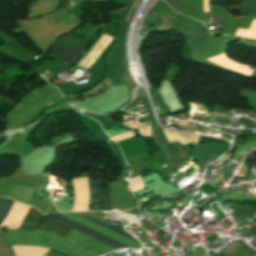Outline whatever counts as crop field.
I'll return each mask as SVG.
<instances>
[{
    "instance_id": "crop-field-2",
    "label": "crop field",
    "mask_w": 256,
    "mask_h": 256,
    "mask_svg": "<svg viewBox=\"0 0 256 256\" xmlns=\"http://www.w3.org/2000/svg\"><path fill=\"white\" fill-rule=\"evenodd\" d=\"M15 201L7 199V198H0V226L5 222L6 218L8 217V215L10 214L13 206H14ZM70 228H73L77 231H80L82 233H85L89 236H92L116 249L121 248V247H129L125 244H122L114 239H111L103 234H100L92 229H89L81 224H78L70 219H67L59 214L56 215H46ZM44 215H41L36 209H32L31 214L29 216V219L26 223L25 228H41V229H45V230H49V231H53L61 236H65L67 234V232L70 230V228L46 217ZM95 223H98L110 230H113L125 237H128L134 241H136L135 239H133L130 235L124 233L121 231V227L118 226H111V225H107L106 223L97 220L93 217H85ZM24 228V229H25ZM137 242V241H136Z\"/></svg>"
},
{
    "instance_id": "crop-field-4",
    "label": "crop field",
    "mask_w": 256,
    "mask_h": 256,
    "mask_svg": "<svg viewBox=\"0 0 256 256\" xmlns=\"http://www.w3.org/2000/svg\"><path fill=\"white\" fill-rule=\"evenodd\" d=\"M83 52L84 49L80 47H53L47 57L62 60L73 65L80 59Z\"/></svg>"
},
{
    "instance_id": "crop-field-6",
    "label": "crop field",
    "mask_w": 256,
    "mask_h": 256,
    "mask_svg": "<svg viewBox=\"0 0 256 256\" xmlns=\"http://www.w3.org/2000/svg\"><path fill=\"white\" fill-rule=\"evenodd\" d=\"M184 36L190 38H198L207 35L209 32L202 29L201 27L180 31Z\"/></svg>"
},
{
    "instance_id": "crop-field-9",
    "label": "crop field",
    "mask_w": 256,
    "mask_h": 256,
    "mask_svg": "<svg viewBox=\"0 0 256 256\" xmlns=\"http://www.w3.org/2000/svg\"><path fill=\"white\" fill-rule=\"evenodd\" d=\"M6 141H8L6 135H3V136L0 137V145H1L2 143L6 142Z\"/></svg>"
},
{
    "instance_id": "crop-field-1",
    "label": "crop field",
    "mask_w": 256,
    "mask_h": 256,
    "mask_svg": "<svg viewBox=\"0 0 256 256\" xmlns=\"http://www.w3.org/2000/svg\"><path fill=\"white\" fill-rule=\"evenodd\" d=\"M2 235L11 246L16 244L46 246L69 256H100L115 250L73 229L64 238L40 229L9 230L8 233Z\"/></svg>"
},
{
    "instance_id": "crop-field-7",
    "label": "crop field",
    "mask_w": 256,
    "mask_h": 256,
    "mask_svg": "<svg viewBox=\"0 0 256 256\" xmlns=\"http://www.w3.org/2000/svg\"><path fill=\"white\" fill-rule=\"evenodd\" d=\"M208 39L188 41L189 48L191 51H203Z\"/></svg>"
},
{
    "instance_id": "crop-field-8",
    "label": "crop field",
    "mask_w": 256,
    "mask_h": 256,
    "mask_svg": "<svg viewBox=\"0 0 256 256\" xmlns=\"http://www.w3.org/2000/svg\"><path fill=\"white\" fill-rule=\"evenodd\" d=\"M170 6L176 8L178 11L182 12L185 9L186 4L182 0H165ZM175 9V10H176Z\"/></svg>"
},
{
    "instance_id": "crop-field-5",
    "label": "crop field",
    "mask_w": 256,
    "mask_h": 256,
    "mask_svg": "<svg viewBox=\"0 0 256 256\" xmlns=\"http://www.w3.org/2000/svg\"><path fill=\"white\" fill-rule=\"evenodd\" d=\"M89 183V194L90 199L96 198L97 200L102 201L103 210H111L110 200H109V190H101L100 184L105 183H96L90 178H88Z\"/></svg>"
},
{
    "instance_id": "crop-field-3",
    "label": "crop field",
    "mask_w": 256,
    "mask_h": 256,
    "mask_svg": "<svg viewBox=\"0 0 256 256\" xmlns=\"http://www.w3.org/2000/svg\"><path fill=\"white\" fill-rule=\"evenodd\" d=\"M63 99L56 88L50 85L28 93L9 113L6 129L16 130L23 127Z\"/></svg>"
}]
</instances>
